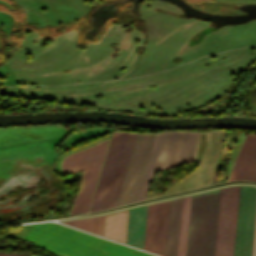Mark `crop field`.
Wrapping results in <instances>:
<instances>
[{"mask_svg":"<svg viewBox=\"0 0 256 256\" xmlns=\"http://www.w3.org/2000/svg\"><path fill=\"white\" fill-rule=\"evenodd\" d=\"M191 196L183 198L178 256H185Z\"/></svg>","mask_w":256,"mask_h":256,"instance_id":"13","label":"crop field"},{"mask_svg":"<svg viewBox=\"0 0 256 256\" xmlns=\"http://www.w3.org/2000/svg\"><path fill=\"white\" fill-rule=\"evenodd\" d=\"M256 148V135L248 133L228 180H240Z\"/></svg>","mask_w":256,"mask_h":256,"instance_id":"12","label":"crop field"},{"mask_svg":"<svg viewBox=\"0 0 256 256\" xmlns=\"http://www.w3.org/2000/svg\"><path fill=\"white\" fill-rule=\"evenodd\" d=\"M136 135L113 133L90 211L115 205Z\"/></svg>","mask_w":256,"mask_h":256,"instance_id":"3","label":"crop field"},{"mask_svg":"<svg viewBox=\"0 0 256 256\" xmlns=\"http://www.w3.org/2000/svg\"><path fill=\"white\" fill-rule=\"evenodd\" d=\"M26 240L66 256H98L113 244L57 223L37 224ZM100 256H152V254L114 243Z\"/></svg>","mask_w":256,"mask_h":256,"instance_id":"2","label":"crop field"},{"mask_svg":"<svg viewBox=\"0 0 256 256\" xmlns=\"http://www.w3.org/2000/svg\"><path fill=\"white\" fill-rule=\"evenodd\" d=\"M199 133L165 132L156 135L137 200L145 199L156 171L169 169L192 160Z\"/></svg>","mask_w":256,"mask_h":256,"instance_id":"5","label":"crop field"},{"mask_svg":"<svg viewBox=\"0 0 256 256\" xmlns=\"http://www.w3.org/2000/svg\"><path fill=\"white\" fill-rule=\"evenodd\" d=\"M156 134H138L117 205L134 202Z\"/></svg>","mask_w":256,"mask_h":256,"instance_id":"7","label":"crop field"},{"mask_svg":"<svg viewBox=\"0 0 256 256\" xmlns=\"http://www.w3.org/2000/svg\"><path fill=\"white\" fill-rule=\"evenodd\" d=\"M95 221L96 217L94 218H88V219H81V220H74V221H67V222H61L67 225H70L72 227L90 232L94 234L95 229Z\"/></svg>","mask_w":256,"mask_h":256,"instance_id":"14","label":"crop field"},{"mask_svg":"<svg viewBox=\"0 0 256 256\" xmlns=\"http://www.w3.org/2000/svg\"><path fill=\"white\" fill-rule=\"evenodd\" d=\"M147 206L129 209L125 244L141 249L143 246Z\"/></svg>","mask_w":256,"mask_h":256,"instance_id":"9","label":"crop field"},{"mask_svg":"<svg viewBox=\"0 0 256 256\" xmlns=\"http://www.w3.org/2000/svg\"><path fill=\"white\" fill-rule=\"evenodd\" d=\"M182 198L170 201L164 256H177Z\"/></svg>","mask_w":256,"mask_h":256,"instance_id":"10","label":"crop field"},{"mask_svg":"<svg viewBox=\"0 0 256 256\" xmlns=\"http://www.w3.org/2000/svg\"><path fill=\"white\" fill-rule=\"evenodd\" d=\"M219 194L192 196L186 256H214Z\"/></svg>","mask_w":256,"mask_h":256,"instance_id":"4","label":"crop field"},{"mask_svg":"<svg viewBox=\"0 0 256 256\" xmlns=\"http://www.w3.org/2000/svg\"><path fill=\"white\" fill-rule=\"evenodd\" d=\"M0 256H25V255H14V254H0Z\"/></svg>","mask_w":256,"mask_h":256,"instance_id":"17","label":"crop field"},{"mask_svg":"<svg viewBox=\"0 0 256 256\" xmlns=\"http://www.w3.org/2000/svg\"><path fill=\"white\" fill-rule=\"evenodd\" d=\"M169 201L148 206L143 250L163 256Z\"/></svg>","mask_w":256,"mask_h":256,"instance_id":"8","label":"crop field"},{"mask_svg":"<svg viewBox=\"0 0 256 256\" xmlns=\"http://www.w3.org/2000/svg\"><path fill=\"white\" fill-rule=\"evenodd\" d=\"M105 215L97 217L95 234L101 235L103 233Z\"/></svg>","mask_w":256,"mask_h":256,"instance_id":"16","label":"crop field"},{"mask_svg":"<svg viewBox=\"0 0 256 256\" xmlns=\"http://www.w3.org/2000/svg\"><path fill=\"white\" fill-rule=\"evenodd\" d=\"M243 179L256 180V151L241 180Z\"/></svg>","mask_w":256,"mask_h":256,"instance_id":"15","label":"crop field"},{"mask_svg":"<svg viewBox=\"0 0 256 256\" xmlns=\"http://www.w3.org/2000/svg\"><path fill=\"white\" fill-rule=\"evenodd\" d=\"M108 140L64 158L62 164L64 173L71 174L84 170L71 214L88 212Z\"/></svg>","mask_w":256,"mask_h":256,"instance_id":"6","label":"crop field"},{"mask_svg":"<svg viewBox=\"0 0 256 256\" xmlns=\"http://www.w3.org/2000/svg\"><path fill=\"white\" fill-rule=\"evenodd\" d=\"M128 210L106 215L103 236L124 244Z\"/></svg>","mask_w":256,"mask_h":256,"instance_id":"11","label":"crop field"},{"mask_svg":"<svg viewBox=\"0 0 256 256\" xmlns=\"http://www.w3.org/2000/svg\"><path fill=\"white\" fill-rule=\"evenodd\" d=\"M240 190L241 186L221 189L215 256H234ZM255 226L256 188L242 186L235 256H253Z\"/></svg>","mask_w":256,"mask_h":256,"instance_id":"1","label":"crop field"}]
</instances>
